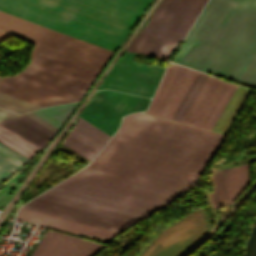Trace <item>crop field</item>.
<instances>
[{
	"label": "crop field",
	"instance_id": "obj_1",
	"mask_svg": "<svg viewBox=\"0 0 256 256\" xmlns=\"http://www.w3.org/2000/svg\"><path fill=\"white\" fill-rule=\"evenodd\" d=\"M222 137L135 113L97 157L194 182ZM97 157L59 185L157 210L194 184Z\"/></svg>",
	"mask_w": 256,
	"mask_h": 256
},
{
	"label": "crop field",
	"instance_id": "obj_2",
	"mask_svg": "<svg viewBox=\"0 0 256 256\" xmlns=\"http://www.w3.org/2000/svg\"><path fill=\"white\" fill-rule=\"evenodd\" d=\"M0 29L36 44L29 65L2 78L0 91L41 107L79 100L113 54L1 11Z\"/></svg>",
	"mask_w": 256,
	"mask_h": 256
},
{
	"label": "crop field",
	"instance_id": "obj_3",
	"mask_svg": "<svg viewBox=\"0 0 256 256\" xmlns=\"http://www.w3.org/2000/svg\"><path fill=\"white\" fill-rule=\"evenodd\" d=\"M174 62L256 88V0H211Z\"/></svg>",
	"mask_w": 256,
	"mask_h": 256
},
{
	"label": "crop field",
	"instance_id": "obj_4",
	"mask_svg": "<svg viewBox=\"0 0 256 256\" xmlns=\"http://www.w3.org/2000/svg\"><path fill=\"white\" fill-rule=\"evenodd\" d=\"M152 0H0V10L116 51Z\"/></svg>",
	"mask_w": 256,
	"mask_h": 256
},
{
	"label": "crop field",
	"instance_id": "obj_5",
	"mask_svg": "<svg viewBox=\"0 0 256 256\" xmlns=\"http://www.w3.org/2000/svg\"><path fill=\"white\" fill-rule=\"evenodd\" d=\"M207 0H161L127 51L168 60Z\"/></svg>",
	"mask_w": 256,
	"mask_h": 256
},
{
	"label": "crop field",
	"instance_id": "obj_6",
	"mask_svg": "<svg viewBox=\"0 0 256 256\" xmlns=\"http://www.w3.org/2000/svg\"><path fill=\"white\" fill-rule=\"evenodd\" d=\"M45 194V193H44ZM40 195L23 207L39 210L42 212L58 215L61 217L81 221L84 223L100 226L103 228L123 231L140 219L124 216L121 214L105 211L102 209L82 205L79 203L63 200L60 198Z\"/></svg>",
	"mask_w": 256,
	"mask_h": 256
},
{
	"label": "crop field",
	"instance_id": "obj_7",
	"mask_svg": "<svg viewBox=\"0 0 256 256\" xmlns=\"http://www.w3.org/2000/svg\"><path fill=\"white\" fill-rule=\"evenodd\" d=\"M208 231L207 218L199 209L164 230L139 256H181Z\"/></svg>",
	"mask_w": 256,
	"mask_h": 256
},
{
	"label": "crop field",
	"instance_id": "obj_8",
	"mask_svg": "<svg viewBox=\"0 0 256 256\" xmlns=\"http://www.w3.org/2000/svg\"><path fill=\"white\" fill-rule=\"evenodd\" d=\"M151 99L118 93L110 90L98 91L80 117L103 130L114 133L121 116L145 110ZM130 114V113H129Z\"/></svg>",
	"mask_w": 256,
	"mask_h": 256
},
{
	"label": "crop field",
	"instance_id": "obj_9",
	"mask_svg": "<svg viewBox=\"0 0 256 256\" xmlns=\"http://www.w3.org/2000/svg\"><path fill=\"white\" fill-rule=\"evenodd\" d=\"M135 53L126 52L98 87L151 97L164 70L132 62Z\"/></svg>",
	"mask_w": 256,
	"mask_h": 256
},
{
	"label": "crop field",
	"instance_id": "obj_10",
	"mask_svg": "<svg viewBox=\"0 0 256 256\" xmlns=\"http://www.w3.org/2000/svg\"><path fill=\"white\" fill-rule=\"evenodd\" d=\"M237 85L209 76L182 123L211 130Z\"/></svg>",
	"mask_w": 256,
	"mask_h": 256
},
{
	"label": "crop field",
	"instance_id": "obj_11",
	"mask_svg": "<svg viewBox=\"0 0 256 256\" xmlns=\"http://www.w3.org/2000/svg\"><path fill=\"white\" fill-rule=\"evenodd\" d=\"M54 134L25 114L0 122V143L25 156L28 161Z\"/></svg>",
	"mask_w": 256,
	"mask_h": 256
},
{
	"label": "crop field",
	"instance_id": "obj_12",
	"mask_svg": "<svg viewBox=\"0 0 256 256\" xmlns=\"http://www.w3.org/2000/svg\"><path fill=\"white\" fill-rule=\"evenodd\" d=\"M198 71L169 64L147 113L170 119Z\"/></svg>",
	"mask_w": 256,
	"mask_h": 256
},
{
	"label": "crop field",
	"instance_id": "obj_13",
	"mask_svg": "<svg viewBox=\"0 0 256 256\" xmlns=\"http://www.w3.org/2000/svg\"><path fill=\"white\" fill-rule=\"evenodd\" d=\"M105 246L48 229L31 256H92Z\"/></svg>",
	"mask_w": 256,
	"mask_h": 256
},
{
	"label": "crop field",
	"instance_id": "obj_14",
	"mask_svg": "<svg viewBox=\"0 0 256 256\" xmlns=\"http://www.w3.org/2000/svg\"><path fill=\"white\" fill-rule=\"evenodd\" d=\"M16 218L50 228L53 227L61 229L108 243H110L112 239L118 234V232L106 230L103 228L87 225L84 223L72 221L69 219L57 217L54 215L38 212L23 207L19 209Z\"/></svg>",
	"mask_w": 256,
	"mask_h": 256
},
{
	"label": "crop field",
	"instance_id": "obj_15",
	"mask_svg": "<svg viewBox=\"0 0 256 256\" xmlns=\"http://www.w3.org/2000/svg\"><path fill=\"white\" fill-rule=\"evenodd\" d=\"M218 175L219 171H215L211 177L213 192L209 194L210 200L215 208L229 206L228 204L231 205L243 191L250 177L249 164L220 170V176L218 177ZM217 177L219 191L223 200L228 204L222 200V197L219 194Z\"/></svg>",
	"mask_w": 256,
	"mask_h": 256
},
{
	"label": "crop field",
	"instance_id": "obj_16",
	"mask_svg": "<svg viewBox=\"0 0 256 256\" xmlns=\"http://www.w3.org/2000/svg\"><path fill=\"white\" fill-rule=\"evenodd\" d=\"M44 193L142 219L155 211L59 185Z\"/></svg>",
	"mask_w": 256,
	"mask_h": 256
},
{
	"label": "crop field",
	"instance_id": "obj_17",
	"mask_svg": "<svg viewBox=\"0 0 256 256\" xmlns=\"http://www.w3.org/2000/svg\"><path fill=\"white\" fill-rule=\"evenodd\" d=\"M110 137L79 118L62 143L91 161Z\"/></svg>",
	"mask_w": 256,
	"mask_h": 256
},
{
	"label": "crop field",
	"instance_id": "obj_18",
	"mask_svg": "<svg viewBox=\"0 0 256 256\" xmlns=\"http://www.w3.org/2000/svg\"><path fill=\"white\" fill-rule=\"evenodd\" d=\"M248 92L249 89L238 86L237 90L213 126L212 131L224 134Z\"/></svg>",
	"mask_w": 256,
	"mask_h": 256
},
{
	"label": "crop field",
	"instance_id": "obj_19",
	"mask_svg": "<svg viewBox=\"0 0 256 256\" xmlns=\"http://www.w3.org/2000/svg\"><path fill=\"white\" fill-rule=\"evenodd\" d=\"M26 162L25 157L0 144V184Z\"/></svg>",
	"mask_w": 256,
	"mask_h": 256
},
{
	"label": "crop field",
	"instance_id": "obj_20",
	"mask_svg": "<svg viewBox=\"0 0 256 256\" xmlns=\"http://www.w3.org/2000/svg\"><path fill=\"white\" fill-rule=\"evenodd\" d=\"M208 75L199 72L198 76L194 80L193 84L189 88L188 92L184 96L183 100L179 104L178 108L174 112L171 120L181 122L182 118L186 114L187 110L189 109L190 105L194 101L195 97L199 93L200 89L202 88L203 84L207 80Z\"/></svg>",
	"mask_w": 256,
	"mask_h": 256
},
{
	"label": "crop field",
	"instance_id": "obj_21",
	"mask_svg": "<svg viewBox=\"0 0 256 256\" xmlns=\"http://www.w3.org/2000/svg\"><path fill=\"white\" fill-rule=\"evenodd\" d=\"M77 104L78 102L51 106L33 112L60 128Z\"/></svg>",
	"mask_w": 256,
	"mask_h": 256
},
{
	"label": "crop field",
	"instance_id": "obj_22",
	"mask_svg": "<svg viewBox=\"0 0 256 256\" xmlns=\"http://www.w3.org/2000/svg\"><path fill=\"white\" fill-rule=\"evenodd\" d=\"M0 107H3L5 109L11 110L16 113H24L37 108H41L1 92H0Z\"/></svg>",
	"mask_w": 256,
	"mask_h": 256
},
{
	"label": "crop field",
	"instance_id": "obj_23",
	"mask_svg": "<svg viewBox=\"0 0 256 256\" xmlns=\"http://www.w3.org/2000/svg\"><path fill=\"white\" fill-rule=\"evenodd\" d=\"M28 116H30L31 118L35 119L36 121H38L39 123H41L42 125H44L45 127L49 128L50 130H52L53 132L56 133L57 129L55 126L51 125L50 123H48L47 121L43 120L42 118H40L39 116L35 115L34 113L30 112V113H26Z\"/></svg>",
	"mask_w": 256,
	"mask_h": 256
},
{
	"label": "crop field",
	"instance_id": "obj_24",
	"mask_svg": "<svg viewBox=\"0 0 256 256\" xmlns=\"http://www.w3.org/2000/svg\"><path fill=\"white\" fill-rule=\"evenodd\" d=\"M13 115H17V114H14V113L8 112L6 110L0 109V121H2V119L6 118V117H10V116H13Z\"/></svg>",
	"mask_w": 256,
	"mask_h": 256
},
{
	"label": "crop field",
	"instance_id": "obj_25",
	"mask_svg": "<svg viewBox=\"0 0 256 256\" xmlns=\"http://www.w3.org/2000/svg\"><path fill=\"white\" fill-rule=\"evenodd\" d=\"M7 37H9V35H7V34H5V33H3V32L0 31V40H1V41L4 40V39H6Z\"/></svg>",
	"mask_w": 256,
	"mask_h": 256
},
{
	"label": "crop field",
	"instance_id": "obj_26",
	"mask_svg": "<svg viewBox=\"0 0 256 256\" xmlns=\"http://www.w3.org/2000/svg\"><path fill=\"white\" fill-rule=\"evenodd\" d=\"M1 78V77H0Z\"/></svg>",
	"mask_w": 256,
	"mask_h": 256
},
{
	"label": "crop field",
	"instance_id": "obj_27",
	"mask_svg": "<svg viewBox=\"0 0 256 256\" xmlns=\"http://www.w3.org/2000/svg\"><path fill=\"white\" fill-rule=\"evenodd\" d=\"M1 42V41H0Z\"/></svg>",
	"mask_w": 256,
	"mask_h": 256
}]
</instances>
